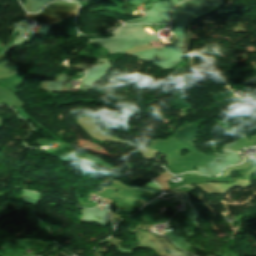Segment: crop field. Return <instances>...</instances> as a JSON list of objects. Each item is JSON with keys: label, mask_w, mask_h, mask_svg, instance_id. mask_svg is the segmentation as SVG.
Listing matches in <instances>:
<instances>
[{"label": "crop field", "mask_w": 256, "mask_h": 256, "mask_svg": "<svg viewBox=\"0 0 256 256\" xmlns=\"http://www.w3.org/2000/svg\"><path fill=\"white\" fill-rule=\"evenodd\" d=\"M78 9V6H56L51 7L40 14L28 15L30 19H34L37 23L52 24L61 19L70 17Z\"/></svg>", "instance_id": "crop-field-1"}, {"label": "crop field", "mask_w": 256, "mask_h": 256, "mask_svg": "<svg viewBox=\"0 0 256 256\" xmlns=\"http://www.w3.org/2000/svg\"><path fill=\"white\" fill-rule=\"evenodd\" d=\"M197 133L198 125H189L187 127L182 128L175 138L194 148L192 140L194 139L195 136H197Z\"/></svg>", "instance_id": "crop-field-2"}, {"label": "crop field", "mask_w": 256, "mask_h": 256, "mask_svg": "<svg viewBox=\"0 0 256 256\" xmlns=\"http://www.w3.org/2000/svg\"><path fill=\"white\" fill-rule=\"evenodd\" d=\"M143 202V201H142ZM146 204V203H145Z\"/></svg>", "instance_id": "crop-field-3"}]
</instances>
